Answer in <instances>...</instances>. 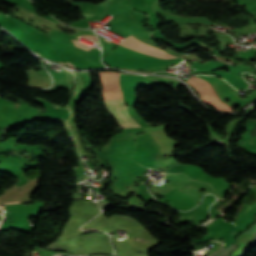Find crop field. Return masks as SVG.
I'll use <instances>...</instances> for the list:
<instances>
[{
  "label": "crop field",
  "mask_w": 256,
  "mask_h": 256,
  "mask_svg": "<svg viewBox=\"0 0 256 256\" xmlns=\"http://www.w3.org/2000/svg\"><path fill=\"white\" fill-rule=\"evenodd\" d=\"M116 49L130 53L135 56L146 57V58L175 57V56L167 54L151 45L142 43L131 36L125 38L120 43V45H118L116 47Z\"/></svg>",
  "instance_id": "crop-field-1"
},
{
  "label": "crop field",
  "mask_w": 256,
  "mask_h": 256,
  "mask_svg": "<svg viewBox=\"0 0 256 256\" xmlns=\"http://www.w3.org/2000/svg\"><path fill=\"white\" fill-rule=\"evenodd\" d=\"M195 77L190 76L186 82L193 85L200 92L202 101L214 105L216 109L223 111H232V108L226 106L219 100V98L216 96L215 92L207 82H205L204 80L203 82L201 81L202 79L199 80L200 78L197 79L198 77Z\"/></svg>",
  "instance_id": "crop-field-2"
},
{
  "label": "crop field",
  "mask_w": 256,
  "mask_h": 256,
  "mask_svg": "<svg viewBox=\"0 0 256 256\" xmlns=\"http://www.w3.org/2000/svg\"><path fill=\"white\" fill-rule=\"evenodd\" d=\"M109 113L116 119L120 127H140L128 114L123 99L104 101Z\"/></svg>",
  "instance_id": "crop-field-3"
},
{
  "label": "crop field",
  "mask_w": 256,
  "mask_h": 256,
  "mask_svg": "<svg viewBox=\"0 0 256 256\" xmlns=\"http://www.w3.org/2000/svg\"><path fill=\"white\" fill-rule=\"evenodd\" d=\"M142 76L121 74L120 84L126 104H135V91L140 86Z\"/></svg>",
  "instance_id": "crop-field-4"
},
{
  "label": "crop field",
  "mask_w": 256,
  "mask_h": 256,
  "mask_svg": "<svg viewBox=\"0 0 256 256\" xmlns=\"http://www.w3.org/2000/svg\"><path fill=\"white\" fill-rule=\"evenodd\" d=\"M15 203H20V200L19 201H16V202H13V203H0L1 204H15Z\"/></svg>",
  "instance_id": "crop-field-5"
}]
</instances>
